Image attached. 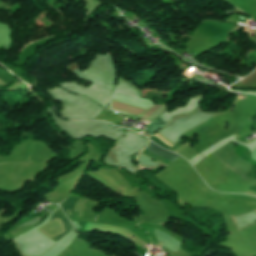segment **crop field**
<instances>
[{
	"instance_id": "ac0d7876",
	"label": "crop field",
	"mask_w": 256,
	"mask_h": 256,
	"mask_svg": "<svg viewBox=\"0 0 256 256\" xmlns=\"http://www.w3.org/2000/svg\"><path fill=\"white\" fill-rule=\"evenodd\" d=\"M166 123L159 117L155 121H153L149 126L144 130L151 136L161 127L165 126Z\"/></svg>"
},
{
	"instance_id": "34b2d1b8",
	"label": "crop field",
	"mask_w": 256,
	"mask_h": 256,
	"mask_svg": "<svg viewBox=\"0 0 256 256\" xmlns=\"http://www.w3.org/2000/svg\"><path fill=\"white\" fill-rule=\"evenodd\" d=\"M155 137H157L159 140H161L164 144H166L167 146L171 147L172 145L168 144L166 141H164L161 137H159L157 134L155 135ZM154 136L149 138L151 139L153 142L163 146L166 149H170L169 147H167L166 145H164L162 142H160L157 138H155Z\"/></svg>"
},
{
	"instance_id": "8a807250",
	"label": "crop field",
	"mask_w": 256,
	"mask_h": 256,
	"mask_svg": "<svg viewBox=\"0 0 256 256\" xmlns=\"http://www.w3.org/2000/svg\"><path fill=\"white\" fill-rule=\"evenodd\" d=\"M145 149H147V150H149V151H151V152H153V153H155V154H157V155H159V156H161V157H163V158H165V159H167L171 162H173L174 160H176L179 157V156H177V155H175V154H173L169 151H166L164 149L159 148L158 146L154 145L153 143H149V145ZM147 150H143L141 152V154H143L145 156H148L152 159L158 160L160 162H163L167 165H169L171 163V162H169V161H167V160H165V159H163V158H161V157H159V156H157V155H155V154H153V153H151Z\"/></svg>"
}]
</instances>
